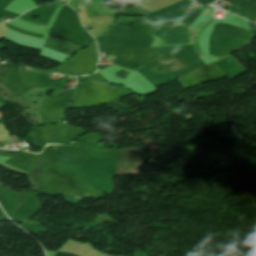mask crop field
<instances>
[{
    "mask_svg": "<svg viewBox=\"0 0 256 256\" xmlns=\"http://www.w3.org/2000/svg\"><path fill=\"white\" fill-rule=\"evenodd\" d=\"M47 40H49V41H53V42H57V43H61V44H64V45H66V46H69V47H71V48H74V49H76V50H78L79 48H77V47H74V46H72V45H69V44H67V43H65V42H62V41H58V40H56V39H51V38H48ZM44 47H46V48H50V49H54V50H57V51H59V52H62V53H64V54H67V55H69V56H71V54H72V52H70V51H67V50H64V49H62V48H58V47H54V46H50V45H46L45 44V46Z\"/></svg>",
    "mask_w": 256,
    "mask_h": 256,
    "instance_id": "ac0d7876",
    "label": "crop field"
},
{
    "mask_svg": "<svg viewBox=\"0 0 256 256\" xmlns=\"http://www.w3.org/2000/svg\"><path fill=\"white\" fill-rule=\"evenodd\" d=\"M54 256H76V255H71V254H65V253L56 252V254H55Z\"/></svg>",
    "mask_w": 256,
    "mask_h": 256,
    "instance_id": "412701ff",
    "label": "crop field"
},
{
    "mask_svg": "<svg viewBox=\"0 0 256 256\" xmlns=\"http://www.w3.org/2000/svg\"><path fill=\"white\" fill-rule=\"evenodd\" d=\"M143 157H147V156L145 155L143 147H139V148L120 150L118 160L143 158Z\"/></svg>",
    "mask_w": 256,
    "mask_h": 256,
    "instance_id": "8a807250",
    "label": "crop field"
},
{
    "mask_svg": "<svg viewBox=\"0 0 256 256\" xmlns=\"http://www.w3.org/2000/svg\"><path fill=\"white\" fill-rule=\"evenodd\" d=\"M116 57H117V56L115 55V56H114V59H116Z\"/></svg>",
    "mask_w": 256,
    "mask_h": 256,
    "instance_id": "dd49c442",
    "label": "crop field"
},
{
    "mask_svg": "<svg viewBox=\"0 0 256 256\" xmlns=\"http://www.w3.org/2000/svg\"><path fill=\"white\" fill-rule=\"evenodd\" d=\"M209 9L207 10L206 14L208 13Z\"/></svg>",
    "mask_w": 256,
    "mask_h": 256,
    "instance_id": "e52e79f7",
    "label": "crop field"
},
{
    "mask_svg": "<svg viewBox=\"0 0 256 256\" xmlns=\"http://www.w3.org/2000/svg\"><path fill=\"white\" fill-rule=\"evenodd\" d=\"M1 106H4V105L0 102V107H1Z\"/></svg>",
    "mask_w": 256,
    "mask_h": 256,
    "instance_id": "f4fd0767",
    "label": "crop field"
},
{
    "mask_svg": "<svg viewBox=\"0 0 256 256\" xmlns=\"http://www.w3.org/2000/svg\"><path fill=\"white\" fill-rule=\"evenodd\" d=\"M0 95H1L3 98H5L7 101H9V100L12 99L8 94H6V93L2 90V88H0Z\"/></svg>",
    "mask_w": 256,
    "mask_h": 256,
    "instance_id": "34b2d1b8",
    "label": "crop field"
}]
</instances>
